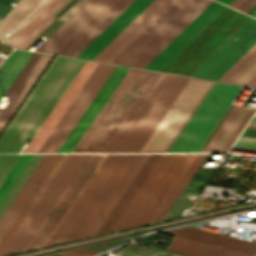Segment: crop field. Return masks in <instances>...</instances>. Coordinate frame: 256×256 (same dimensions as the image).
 Returning a JSON list of instances; mask_svg holds the SVG:
<instances>
[{
  "label": "crop field",
  "instance_id": "b80d0937",
  "mask_svg": "<svg viewBox=\"0 0 256 256\" xmlns=\"http://www.w3.org/2000/svg\"><path fill=\"white\" fill-rule=\"evenodd\" d=\"M255 4L256 0H243L236 9L247 13Z\"/></svg>",
  "mask_w": 256,
  "mask_h": 256
},
{
  "label": "crop field",
  "instance_id": "d23c7cc5",
  "mask_svg": "<svg viewBox=\"0 0 256 256\" xmlns=\"http://www.w3.org/2000/svg\"><path fill=\"white\" fill-rule=\"evenodd\" d=\"M247 85H253V86H256V76L254 78H252L248 83Z\"/></svg>",
  "mask_w": 256,
  "mask_h": 256
},
{
  "label": "crop field",
  "instance_id": "73cf0c24",
  "mask_svg": "<svg viewBox=\"0 0 256 256\" xmlns=\"http://www.w3.org/2000/svg\"><path fill=\"white\" fill-rule=\"evenodd\" d=\"M248 126L256 127V124H254V123H249V125H248Z\"/></svg>",
  "mask_w": 256,
  "mask_h": 256
},
{
  "label": "crop field",
  "instance_id": "9d1cf04e",
  "mask_svg": "<svg viewBox=\"0 0 256 256\" xmlns=\"http://www.w3.org/2000/svg\"><path fill=\"white\" fill-rule=\"evenodd\" d=\"M1 21V20H0Z\"/></svg>",
  "mask_w": 256,
  "mask_h": 256
},
{
  "label": "crop field",
  "instance_id": "25e5ab78",
  "mask_svg": "<svg viewBox=\"0 0 256 256\" xmlns=\"http://www.w3.org/2000/svg\"><path fill=\"white\" fill-rule=\"evenodd\" d=\"M256 10V5L248 12V14H252Z\"/></svg>",
  "mask_w": 256,
  "mask_h": 256
},
{
  "label": "crop field",
  "instance_id": "028f5c9d",
  "mask_svg": "<svg viewBox=\"0 0 256 256\" xmlns=\"http://www.w3.org/2000/svg\"><path fill=\"white\" fill-rule=\"evenodd\" d=\"M234 147L256 150V140L239 138Z\"/></svg>",
  "mask_w": 256,
  "mask_h": 256
},
{
  "label": "crop field",
  "instance_id": "c21b1889",
  "mask_svg": "<svg viewBox=\"0 0 256 256\" xmlns=\"http://www.w3.org/2000/svg\"><path fill=\"white\" fill-rule=\"evenodd\" d=\"M70 0H63L49 15H52V16H54L63 6H65L68 2H69ZM64 8V7H63ZM62 8V9H63ZM61 9V10H62ZM60 10V11H61ZM59 11V12H60ZM58 12V13H59Z\"/></svg>",
  "mask_w": 256,
  "mask_h": 256
},
{
  "label": "crop field",
  "instance_id": "3316defc",
  "mask_svg": "<svg viewBox=\"0 0 256 256\" xmlns=\"http://www.w3.org/2000/svg\"><path fill=\"white\" fill-rule=\"evenodd\" d=\"M247 18L227 7L161 71L189 75Z\"/></svg>",
  "mask_w": 256,
  "mask_h": 256
},
{
  "label": "crop field",
  "instance_id": "d32e631a",
  "mask_svg": "<svg viewBox=\"0 0 256 256\" xmlns=\"http://www.w3.org/2000/svg\"><path fill=\"white\" fill-rule=\"evenodd\" d=\"M254 112H255V110L249 109V111L247 112V114L245 115L243 120L240 122V124L238 125V127L236 128V130L234 131V133L228 140V142L225 144V146L223 147L221 152H226L231 147V145L233 144L235 139L238 137V135L240 134V132L242 131V129L244 128V126L246 125V123L251 118V116L253 115Z\"/></svg>",
  "mask_w": 256,
  "mask_h": 256
},
{
  "label": "crop field",
  "instance_id": "e1f06a70",
  "mask_svg": "<svg viewBox=\"0 0 256 256\" xmlns=\"http://www.w3.org/2000/svg\"><path fill=\"white\" fill-rule=\"evenodd\" d=\"M13 1L16 3L18 0H0V18L1 19L12 8V6L9 3Z\"/></svg>",
  "mask_w": 256,
  "mask_h": 256
},
{
  "label": "crop field",
  "instance_id": "0bd39190",
  "mask_svg": "<svg viewBox=\"0 0 256 256\" xmlns=\"http://www.w3.org/2000/svg\"><path fill=\"white\" fill-rule=\"evenodd\" d=\"M84 1L86 0H77L69 9H67L59 19L65 21L69 15H71Z\"/></svg>",
  "mask_w": 256,
  "mask_h": 256
},
{
  "label": "crop field",
  "instance_id": "dd49c442",
  "mask_svg": "<svg viewBox=\"0 0 256 256\" xmlns=\"http://www.w3.org/2000/svg\"><path fill=\"white\" fill-rule=\"evenodd\" d=\"M197 156L164 154L112 231L153 221Z\"/></svg>",
  "mask_w": 256,
  "mask_h": 256
},
{
  "label": "crop field",
  "instance_id": "1d83c4d3",
  "mask_svg": "<svg viewBox=\"0 0 256 256\" xmlns=\"http://www.w3.org/2000/svg\"><path fill=\"white\" fill-rule=\"evenodd\" d=\"M19 156L20 154H0V183Z\"/></svg>",
  "mask_w": 256,
  "mask_h": 256
},
{
  "label": "crop field",
  "instance_id": "733c2abd",
  "mask_svg": "<svg viewBox=\"0 0 256 256\" xmlns=\"http://www.w3.org/2000/svg\"><path fill=\"white\" fill-rule=\"evenodd\" d=\"M174 0H154L93 60L110 63L150 22Z\"/></svg>",
  "mask_w": 256,
  "mask_h": 256
},
{
  "label": "crop field",
  "instance_id": "00972430",
  "mask_svg": "<svg viewBox=\"0 0 256 256\" xmlns=\"http://www.w3.org/2000/svg\"><path fill=\"white\" fill-rule=\"evenodd\" d=\"M43 0H21L15 8L0 23V40L9 30H13L30 12ZM51 0H46L32 15H30L13 33L3 42L9 43Z\"/></svg>",
  "mask_w": 256,
  "mask_h": 256
},
{
  "label": "crop field",
  "instance_id": "412701ff",
  "mask_svg": "<svg viewBox=\"0 0 256 256\" xmlns=\"http://www.w3.org/2000/svg\"><path fill=\"white\" fill-rule=\"evenodd\" d=\"M212 0H175L111 63L144 68Z\"/></svg>",
  "mask_w": 256,
  "mask_h": 256
},
{
  "label": "crop field",
  "instance_id": "bc2a9ffb",
  "mask_svg": "<svg viewBox=\"0 0 256 256\" xmlns=\"http://www.w3.org/2000/svg\"><path fill=\"white\" fill-rule=\"evenodd\" d=\"M96 65L95 62L86 61L23 152H36Z\"/></svg>",
  "mask_w": 256,
  "mask_h": 256
},
{
  "label": "crop field",
  "instance_id": "d8731c3e",
  "mask_svg": "<svg viewBox=\"0 0 256 256\" xmlns=\"http://www.w3.org/2000/svg\"><path fill=\"white\" fill-rule=\"evenodd\" d=\"M189 80L164 74L111 152H140Z\"/></svg>",
  "mask_w": 256,
  "mask_h": 256
},
{
  "label": "crop field",
  "instance_id": "d1516ede",
  "mask_svg": "<svg viewBox=\"0 0 256 256\" xmlns=\"http://www.w3.org/2000/svg\"><path fill=\"white\" fill-rule=\"evenodd\" d=\"M256 42V20L249 17L190 75L217 80Z\"/></svg>",
  "mask_w": 256,
  "mask_h": 256
},
{
  "label": "crop field",
  "instance_id": "5a996713",
  "mask_svg": "<svg viewBox=\"0 0 256 256\" xmlns=\"http://www.w3.org/2000/svg\"><path fill=\"white\" fill-rule=\"evenodd\" d=\"M240 88L215 82L167 152H197Z\"/></svg>",
  "mask_w": 256,
  "mask_h": 256
},
{
  "label": "crop field",
  "instance_id": "ac0d7876",
  "mask_svg": "<svg viewBox=\"0 0 256 256\" xmlns=\"http://www.w3.org/2000/svg\"><path fill=\"white\" fill-rule=\"evenodd\" d=\"M86 156L69 154L0 256L22 251ZM106 156L88 154L23 251L45 246Z\"/></svg>",
  "mask_w": 256,
  "mask_h": 256
},
{
  "label": "crop field",
  "instance_id": "cbeb9de0",
  "mask_svg": "<svg viewBox=\"0 0 256 256\" xmlns=\"http://www.w3.org/2000/svg\"><path fill=\"white\" fill-rule=\"evenodd\" d=\"M52 55L34 53L5 97L11 98L4 110L0 109V133L47 68Z\"/></svg>",
  "mask_w": 256,
  "mask_h": 256
},
{
  "label": "crop field",
  "instance_id": "1d79db26",
  "mask_svg": "<svg viewBox=\"0 0 256 256\" xmlns=\"http://www.w3.org/2000/svg\"><path fill=\"white\" fill-rule=\"evenodd\" d=\"M2 63H3V62H2ZM2 63H1V64H2ZM1 64H0V66H1Z\"/></svg>",
  "mask_w": 256,
  "mask_h": 256
},
{
  "label": "crop field",
  "instance_id": "bd1437ed",
  "mask_svg": "<svg viewBox=\"0 0 256 256\" xmlns=\"http://www.w3.org/2000/svg\"><path fill=\"white\" fill-rule=\"evenodd\" d=\"M241 108L242 107L234 106V108L232 109L228 117L225 119V121L223 122V124L221 125V127L219 128L215 136L213 137V139L210 141V143L208 144L204 152H212L214 147L217 145V143L219 142V140L221 139L225 131L228 129V127L236 117V115L241 110Z\"/></svg>",
  "mask_w": 256,
  "mask_h": 256
},
{
  "label": "crop field",
  "instance_id": "5142ce71",
  "mask_svg": "<svg viewBox=\"0 0 256 256\" xmlns=\"http://www.w3.org/2000/svg\"><path fill=\"white\" fill-rule=\"evenodd\" d=\"M225 8L226 6L213 1L145 68L160 71Z\"/></svg>",
  "mask_w": 256,
  "mask_h": 256
},
{
  "label": "crop field",
  "instance_id": "03da06ac",
  "mask_svg": "<svg viewBox=\"0 0 256 256\" xmlns=\"http://www.w3.org/2000/svg\"><path fill=\"white\" fill-rule=\"evenodd\" d=\"M57 254H61V255H65V256H89V255L80 254V253H76V252H72V251H68V250L59 252Z\"/></svg>",
  "mask_w": 256,
  "mask_h": 256
},
{
  "label": "crop field",
  "instance_id": "5866460e",
  "mask_svg": "<svg viewBox=\"0 0 256 256\" xmlns=\"http://www.w3.org/2000/svg\"><path fill=\"white\" fill-rule=\"evenodd\" d=\"M255 74L256 59L245 70H243L232 82L244 85Z\"/></svg>",
  "mask_w": 256,
  "mask_h": 256
},
{
  "label": "crop field",
  "instance_id": "34b2d1b8",
  "mask_svg": "<svg viewBox=\"0 0 256 256\" xmlns=\"http://www.w3.org/2000/svg\"><path fill=\"white\" fill-rule=\"evenodd\" d=\"M84 63L56 56L0 137V152H18L30 141Z\"/></svg>",
  "mask_w": 256,
  "mask_h": 256
},
{
  "label": "crop field",
  "instance_id": "c035e120",
  "mask_svg": "<svg viewBox=\"0 0 256 256\" xmlns=\"http://www.w3.org/2000/svg\"><path fill=\"white\" fill-rule=\"evenodd\" d=\"M18 52H19V50H14V51L7 57V59L4 61V63H3L2 66L0 67V77L3 75V73L5 72V70H6L7 67L10 65V63L12 62V60L14 59V57L17 55Z\"/></svg>",
  "mask_w": 256,
  "mask_h": 256
},
{
  "label": "crop field",
  "instance_id": "dbb93151",
  "mask_svg": "<svg viewBox=\"0 0 256 256\" xmlns=\"http://www.w3.org/2000/svg\"><path fill=\"white\" fill-rule=\"evenodd\" d=\"M252 16L256 17V11L252 14Z\"/></svg>",
  "mask_w": 256,
  "mask_h": 256
},
{
  "label": "crop field",
  "instance_id": "a9b5d70f",
  "mask_svg": "<svg viewBox=\"0 0 256 256\" xmlns=\"http://www.w3.org/2000/svg\"><path fill=\"white\" fill-rule=\"evenodd\" d=\"M62 0H52L10 43L14 47L24 49L38 34H40L55 18L48 14Z\"/></svg>",
  "mask_w": 256,
  "mask_h": 256
},
{
  "label": "crop field",
  "instance_id": "ae1a2a85",
  "mask_svg": "<svg viewBox=\"0 0 256 256\" xmlns=\"http://www.w3.org/2000/svg\"><path fill=\"white\" fill-rule=\"evenodd\" d=\"M34 154H21L12 169L9 171L3 182L0 184V203L7 195L13 184L23 172Z\"/></svg>",
  "mask_w": 256,
  "mask_h": 256
},
{
  "label": "crop field",
  "instance_id": "92a150f3",
  "mask_svg": "<svg viewBox=\"0 0 256 256\" xmlns=\"http://www.w3.org/2000/svg\"><path fill=\"white\" fill-rule=\"evenodd\" d=\"M152 1L153 0H135L119 17H117L77 57L92 60L109 42H111Z\"/></svg>",
  "mask_w": 256,
  "mask_h": 256
},
{
  "label": "crop field",
  "instance_id": "750c4746",
  "mask_svg": "<svg viewBox=\"0 0 256 256\" xmlns=\"http://www.w3.org/2000/svg\"><path fill=\"white\" fill-rule=\"evenodd\" d=\"M205 156H206V154H199V156L194 161V163L192 164L190 169L187 171V173L185 174V176L183 177L181 182L178 184V186L176 187L174 192L171 194V196L169 197L167 202L164 204V206L162 207V211H160V213L157 215V217L154 219V221H158V220L162 219V217L164 216V214L166 213V211L168 210V208L170 207L172 202L175 200V198L177 197V195L179 194V192L181 191V189L183 188L185 183L188 181L190 176L193 174V172L195 171V169L198 167V165L201 163V161L203 160V158Z\"/></svg>",
  "mask_w": 256,
  "mask_h": 256
},
{
  "label": "crop field",
  "instance_id": "22f410ed",
  "mask_svg": "<svg viewBox=\"0 0 256 256\" xmlns=\"http://www.w3.org/2000/svg\"><path fill=\"white\" fill-rule=\"evenodd\" d=\"M106 64L98 63L96 68L93 70L89 78L86 80L82 88L79 90L75 98L72 100L68 108L65 110L61 118L58 120L54 128L51 130L47 138L44 140L37 152H46L48 147L51 145L55 137L58 135L62 127L65 125L71 114L74 112L78 104L81 102L87 91L90 89L94 81L97 79L101 71L104 69ZM115 68L114 65L107 64L105 69L102 71L98 79L95 81L91 89L88 91L82 102L79 104L75 112L72 114L66 125L63 127L59 135L56 137L52 145L49 147L47 152H56L63 140L66 138L70 130L73 128L77 120L80 118L84 110L87 108L91 100L94 98L98 90L101 88L105 80L108 78L112 70Z\"/></svg>",
  "mask_w": 256,
  "mask_h": 256
},
{
  "label": "crop field",
  "instance_id": "4177f3b9",
  "mask_svg": "<svg viewBox=\"0 0 256 256\" xmlns=\"http://www.w3.org/2000/svg\"><path fill=\"white\" fill-rule=\"evenodd\" d=\"M168 250L189 256H248L176 237Z\"/></svg>",
  "mask_w": 256,
  "mask_h": 256
},
{
  "label": "crop field",
  "instance_id": "e52e79f7",
  "mask_svg": "<svg viewBox=\"0 0 256 256\" xmlns=\"http://www.w3.org/2000/svg\"><path fill=\"white\" fill-rule=\"evenodd\" d=\"M154 74L129 68L72 152H101Z\"/></svg>",
  "mask_w": 256,
  "mask_h": 256
},
{
  "label": "crop field",
  "instance_id": "120bbe31",
  "mask_svg": "<svg viewBox=\"0 0 256 256\" xmlns=\"http://www.w3.org/2000/svg\"><path fill=\"white\" fill-rule=\"evenodd\" d=\"M247 111H248V109H246V108H243L241 110V112L238 114V116L236 117L234 122L231 124V126L229 127V129L227 130L225 135L222 137V139L220 140L218 145L215 147L213 152H220V150L222 149V147L224 146L226 141L229 139V137L231 136V134L233 133V131L235 130V128L237 127V125L239 124V122L244 117V115L246 114Z\"/></svg>",
  "mask_w": 256,
  "mask_h": 256
},
{
  "label": "crop field",
  "instance_id": "214f88e0",
  "mask_svg": "<svg viewBox=\"0 0 256 256\" xmlns=\"http://www.w3.org/2000/svg\"><path fill=\"white\" fill-rule=\"evenodd\" d=\"M172 236H177L209 245H213L220 248L248 254L254 256L256 253V243L229 237L220 233L187 226L178 229L162 232Z\"/></svg>",
  "mask_w": 256,
  "mask_h": 256
},
{
  "label": "crop field",
  "instance_id": "d9b57169",
  "mask_svg": "<svg viewBox=\"0 0 256 256\" xmlns=\"http://www.w3.org/2000/svg\"><path fill=\"white\" fill-rule=\"evenodd\" d=\"M59 156L60 154H45L20 192L3 214L0 219V242Z\"/></svg>",
  "mask_w": 256,
  "mask_h": 256
},
{
  "label": "crop field",
  "instance_id": "28ad6ade",
  "mask_svg": "<svg viewBox=\"0 0 256 256\" xmlns=\"http://www.w3.org/2000/svg\"><path fill=\"white\" fill-rule=\"evenodd\" d=\"M213 84L191 78L141 152H166Z\"/></svg>",
  "mask_w": 256,
  "mask_h": 256
},
{
  "label": "crop field",
  "instance_id": "1f2cbd36",
  "mask_svg": "<svg viewBox=\"0 0 256 256\" xmlns=\"http://www.w3.org/2000/svg\"><path fill=\"white\" fill-rule=\"evenodd\" d=\"M242 138H250V139H256V138H252V137H244V136H240Z\"/></svg>",
  "mask_w": 256,
  "mask_h": 256
},
{
  "label": "crop field",
  "instance_id": "d3111659",
  "mask_svg": "<svg viewBox=\"0 0 256 256\" xmlns=\"http://www.w3.org/2000/svg\"><path fill=\"white\" fill-rule=\"evenodd\" d=\"M256 58V44L218 80L231 82Z\"/></svg>",
  "mask_w": 256,
  "mask_h": 256
},
{
  "label": "crop field",
  "instance_id": "4a817a6b",
  "mask_svg": "<svg viewBox=\"0 0 256 256\" xmlns=\"http://www.w3.org/2000/svg\"><path fill=\"white\" fill-rule=\"evenodd\" d=\"M128 68L116 66L57 152H71Z\"/></svg>",
  "mask_w": 256,
  "mask_h": 256
},
{
  "label": "crop field",
  "instance_id": "dafd665d",
  "mask_svg": "<svg viewBox=\"0 0 256 256\" xmlns=\"http://www.w3.org/2000/svg\"><path fill=\"white\" fill-rule=\"evenodd\" d=\"M163 154H151L142 169L139 171L133 182L130 184L126 192L123 194L117 205L114 207L110 215L102 224L96 234L111 231L122 213L125 211L131 200L134 198L140 187L143 185L149 174L152 172Z\"/></svg>",
  "mask_w": 256,
  "mask_h": 256
},
{
  "label": "crop field",
  "instance_id": "f4fd0767",
  "mask_svg": "<svg viewBox=\"0 0 256 256\" xmlns=\"http://www.w3.org/2000/svg\"><path fill=\"white\" fill-rule=\"evenodd\" d=\"M110 0H87L35 50L56 54ZM134 0H111L57 54L76 57Z\"/></svg>",
  "mask_w": 256,
  "mask_h": 256
},
{
  "label": "crop field",
  "instance_id": "89e229c0",
  "mask_svg": "<svg viewBox=\"0 0 256 256\" xmlns=\"http://www.w3.org/2000/svg\"><path fill=\"white\" fill-rule=\"evenodd\" d=\"M251 122L256 123V117H253V119L251 120Z\"/></svg>",
  "mask_w": 256,
  "mask_h": 256
},
{
  "label": "crop field",
  "instance_id": "425ffa30",
  "mask_svg": "<svg viewBox=\"0 0 256 256\" xmlns=\"http://www.w3.org/2000/svg\"><path fill=\"white\" fill-rule=\"evenodd\" d=\"M226 5H228L232 0H218Z\"/></svg>",
  "mask_w": 256,
  "mask_h": 256
},
{
  "label": "crop field",
  "instance_id": "730fd06b",
  "mask_svg": "<svg viewBox=\"0 0 256 256\" xmlns=\"http://www.w3.org/2000/svg\"><path fill=\"white\" fill-rule=\"evenodd\" d=\"M67 156H68V154H61V156L59 157V159L57 160L55 165L52 167V169L50 170V172L48 173L46 178L43 180V182L41 183V185L39 186V188L37 189V191L35 192L33 197L30 199V201L28 202V204L26 205V207L24 208L22 213L19 215V217L17 218V220L15 221V223L13 224V226L11 227L9 232L6 234V236L0 243V253L4 249V247L6 246V244L12 237V235L15 233V231L17 230V228L19 227L21 222L24 220V218L26 217V215L28 214V212L30 211L32 206L35 204L37 199L40 197V195L42 194V192L44 191L46 186L49 184V182L51 181V179L53 178V176L55 175V173L57 172V170L59 169V167L64 162V160L66 159Z\"/></svg>",
  "mask_w": 256,
  "mask_h": 256
},
{
  "label": "crop field",
  "instance_id": "8a807250",
  "mask_svg": "<svg viewBox=\"0 0 256 256\" xmlns=\"http://www.w3.org/2000/svg\"><path fill=\"white\" fill-rule=\"evenodd\" d=\"M150 154H108L46 245L95 235Z\"/></svg>",
  "mask_w": 256,
  "mask_h": 256
},
{
  "label": "crop field",
  "instance_id": "b54c1fbb",
  "mask_svg": "<svg viewBox=\"0 0 256 256\" xmlns=\"http://www.w3.org/2000/svg\"><path fill=\"white\" fill-rule=\"evenodd\" d=\"M72 251H77V252H82V253H86V254H90V255H93V254H96L97 252H92V251H88V250H83V249H79V248H76V249H70Z\"/></svg>",
  "mask_w": 256,
  "mask_h": 256
},
{
  "label": "crop field",
  "instance_id": "eef30255",
  "mask_svg": "<svg viewBox=\"0 0 256 256\" xmlns=\"http://www.w3.org/2000/svg\"><path fill=\"white\" fill-rule=\"evenodd\" d=\"M32 55V52L20 50L18 55L15 57L11 65L8 67V69L0 79V100L7 92L11 84L14 82V80L19 75V73Z\"/></svg>",
  "mask_w": 256,
  "mask_h": 256
},
{
  "label": "crop field",
  "instance_id": "0fb4a251",
  "mask_svg": "<svg viewBox=\"0 0 256 256\" xmlns=\"http://www.w3.org/2000/svg\"><path fill=\"white\" fill-rule=\"evenodd\" d=\"M3 59L2 58H0V62L2 61Z\"/></svg>",
  "mask_w": 256,
  "mask_h": 256
},
{
  "label": "crop field",
  "instance_id": "5d738f31",
  "mask_svg": "<svg viewBox=\"0 0 256 256\" xmlns=\"http://www.w3.org/2000/svg\"><path fill=\"white\" fill-rule=\"evenodd\" d=\"M242 0H233L229 6L235 8Z\"/></svg>",
  "mask_w": 256,
  "mask_h": 256
}]
</instances>
